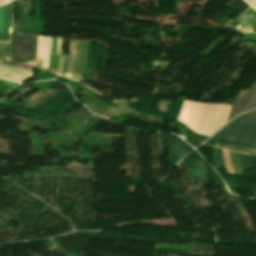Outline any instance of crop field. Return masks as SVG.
<instances>
[{
    "instance_id": "crop-field-4",
    "label": "crop field",
    "mask_w": 256,
    "mask_h": 256,
    "mask_svg": "<svg viewBox=\"0 0 256 256\" xmlns=\"http://www.w3.org/2000/svg\"><path fill=\"white\" fill-rule=\"evenodd\" d=\"M0 77L10 79L18 82H22L30 77L32 73L29 70L20 69L16 67H10L0 64Z\"/></svg>"
},
{
    "instance_id": "crop-field-2",
    "label": "crop field",
    "mask_w": 256,
    "mask_h": 256,
    "mask_svg": "<svg viewBox=\"0 0 256 256\" xmlns=\"http://www.w3.org/2000/svg\"><path fill=\"white\" fill-rule=\"evenodd\" d=\"M36 36L12 33L10 53L12 65H18L34 59Z\"/></svg>"
},
{
    "instance_id": "crop-field-6",
    "label": "crop field",
    "mask_w": 256,
    "mask_h": 256,
    "mask_svg": "<svg viewBox=\"0 0 256 256\" xmlns=\"http://www.w3.org/2000/svg\"><path fill=\"white\" fill-rule=\"evenodd\" d=\"M8 44H9V42L0 40V62L3 58V55L6 51Z\"/></svg>"
},
{
    "instance_id": "crop-field-7",
    "label": "crop field",
    "mask_w": 256,
    "mask_h": 256,
    "mask_svg": "<svg viewBox=\"0 0 256 256\" xmlns=\"http://www.w3.org/2000/svg\"><path fill=\"white\" fill-rule=\"evenodd\" d=\"M0 33L3 34V7L0 8Z\"/></svg>"
},
{
    "instance_id": "crop-field-1",
    "label": "crop field",
    "mask_w": 256,
    "mask_h": 256,
    "mask_svg": "<svg viewBox=\"0 0 256 256\" xmlns=\"http://www.w3.org/2000/svg\"><path fill=\"white\" fill-rule=\"evenodd\" d=\"M213 138L218 140L216 147L255 154L256 110L238 116Z\"/></svg>"
},
{
    "instance_id": "crop-field-5",
    "label": "crop field",
    "mask_w": 256,
    "mask_h": 256,
    "mask_svg": "<svg viewBox=\"0 0 256 256\" xmlns=\"http://www.w3.org/2000/svg\"><path fill=\"white\" fill-rule=\"evenodd\" d=\"M236 20L256 26V12L254 10H252L251 8H249V10L247 12L243 13ZM255 32H256V30H255Z\"/></svg>"
},
{
    "instance_id": "crop-field-3",
    "label": "crop field",
    "mask_w": 256,
    "mask_h": 256,
    "mask_svg": "<svg viewBox=\"0 0 256 256\" xmlns=\"http://www.w3.org/2000/svg\"><path fill=\"white\" fill-rule=\"evenodd\" d=\"M254 107H256V81L249 91H240L233 104L228 121L239 113Z\"/></svg>"
}]
</instances>
